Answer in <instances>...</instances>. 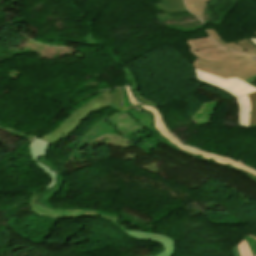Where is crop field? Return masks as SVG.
I'll return each mask as SVG.
<instances>
[{"instance_id":"8a807250","label":"crop field","mask_w":256,"mask_h":256,"mask_svg":"<svg viewBox=\"0 0 256 256\" xmlns=\"http://www.w3.org/2000/svg\"><path fill=\"white\" fill-rule=\"evenodd\" d=\"M194 67L222 76L246 80L256 75V59L245 56L231 61H212L197 58Z\"/></svg>"},{"instance_id":"ac0d7876","label":"crop field","mask_w":256,"mask_h":256,"mask_svg":"<svg viewBox=\"0 0 256 256\" xmlns=\"http://www.w3.org/2000/svg\"><path fill=\"white\" fill-rule=\"evenodd\" d=\"M126 91L128 93L129 96V100L130 102H132L135 106L138 105V103L135 101V99L133 98L129 87H126ZM140 105V104H139ZM142 108H144V110L150 111L154 114L155 117V128L158 130L159 133H161V135H163V137L167 138L168 140H170L172 143H174L179 149L188 151L190 153L193 154H197V155H201L203 156L204 159H213L216 162L219 163H223V164H231L232 166H236L238 168H241L243 170L248 171L251 174H254L256 176V169L249 167L245 164H242L240 162L234 161L232 159L226 158V157H221L220 155H216V154H212L209 152H205V151H200L194 148H191L185 144H183L181 141H179L178 139H176L170 132L169 130L166 128L163 118L161 116V114L158 112V110L153 109L151 107H147V106H143L140 105Z\"/></svg>"},{"instance_id":"34b2d1b8","label":"crop field","mask_w":256,"mask_h":256,"mask_svg":"<svg viewBox=\"0 0 256 256\" xmlns=\"http://www.w3.org/2000/svg\"><path fill=\"white\" fill-rule=\"evenodd\" d=\"M196 78L202 82L208 83L213 86H217L235 97L249 94L256 91V88L250 86L237 78H222L202 70L195 68Z\"/></svg>"},{"instance_id":"412701ff","label":"crop field","mask_w":256,"mask_h":256,"mask_svg":"<svg viewBox=\"0 0 256 256\" xmlns=\"http://www.w3.org/2000/svg\"><path fill=\"white\" fill-rule=\"evenodd\" d=\"M50 145L51 144L44 142L38 138H35L33 141H31L28 144V154L34 160V162L37 164V166H39L40 169L42 171H44L50 177L51 182L45 189L50 188L55 185L56 174H55V172L50 171V168L40 164L38 162V159L45 156V154L47 153V149Z\"/></svg>"},{"instance_id":"f4fd0767","label":"crop field","mask_w":256,"mask_h":256,"mask_svg":"<svg viewBox=\"0 0 256 256\" xmlns=\"http://www.w3.org/2000/svg\"><path fill=\"white\" fill-rule=\"evenodd\" d=\"M187 44L191 46L190 51L195 56L202 58V59L231 60V59H235V58H238L241 56H245V55L239 54V53H221V54H216V55H200L194 51L199 48L218 46V44L213 42L210 37L190 40V41H187Z\"/></svg>"},{"instance_id":"dd49c442","label":"crop field","mask_w":256,"mask_h":256,"mask_svg":"<svg viewBox=\"0 0 256 256\" xmlns=\"http://www.w3.org/2000/svg\"><path fill=\"white\" fill-rule=\"evenodd\" d=\"M110 92V91H109ZM112 98L108 94V92H105L103 94H99L88 101H86L84 104H82L80 107H78L76 110L71 112L69 115L74 117L75 119L79 120L92 112L95 109H101L102 107L106 106L111 102Z\"/></svg>"},{"instance_id":"e52e79f7","label":"crop field","mask_w":256,"mask_h":256,"mask_svg":"<svg viewBox=\"0 0 256 256\" xmlns=\"http://www.w3.org/2000/svg\"><path fill=\"white\" fill-rule=\"evenodd\" d=\"M91 25H92V23L89 22V26H88L89 34L87 35L86 38H83V40L88 42L87 45H97V42H96V40L94 39V37L92 35ZM97 46H100V45H97ZM100 47H102V46H100ZM106 51H108V50H106ZM108 52H110V51H108ZM110 53L112 54L113 59L115 61H117L118 63H120V61L118 60L117 56L115 54H113L112 52H110ZM120 65L126 71L128 85L131 86L132 92H133L134 96L136 97L137 101L138 102H142V103L147 104V105H151V106H155L156 107V104H154L151 101H149V100H147V99H145V98L140 96L133 74L128 70V68L125 65H122L121 63H120Z\"/></svg>"},{"instance_id":"d8731c3e","label":"crop field","mask_w":256,"mask_h":256,"mask_svg":"<svg viewBox=\"0 0 256 256\" xmlns=\"http://www.w3.org/2000/svg\"><path fill=\"white\" fill-rule=\"evenodd\" d=\"M78 123L79 122L75 119L68 117L63 123L60 124V126L55 131L44 137H41L40 139H43L54 145L60 139H64L71 132H73V130L77 128Z\"/></svg>"},{"instance_id":"5a996713","label":"crop field","mask_w":256,"mask_h":256,"mask_svg":"<svg viewBox=\"0 0 256 256\" xmlns=\"http://www.w3.org/2000/svg\"><path fill=\"white\" fill-rule=\"evenodd\" d=\"M37 199V195H31L30 207L31 210L42 216H52L60 218H76L81 217L82 210H62V211H52L46 207L34 204L33 200Z\"/></svg>"},{"instance_id":"3316defc","label":"crop field","mask_w":256,"mask_h":256,"mask_svg":"<svg viewBox=\"0 0 256 256\" xmlns=\"http://www.w3.org/2000/svg\"><path fill=\"white\" fill-rule=\"evenodd\" d=\"M125 232L134 238L149 239V240H154L156 242L161 243L164 247V251L158 256H171L175 249V246L172 240L166 236L134 232V231H125Z\"/></svg>"},{"instance_id":"28ad6ade","label":"crop field","mask_w":256,"mask_h":256,"mask_svg":"<svg viewBox=\"0 0 256 256\" xmlns=\"http://www.w3.org/2000/svg\"><path fill=\"white\" fill-rule=\"evenodd\" d=\"M237 104L239 106V118H238V124L239 126L243 127H249V121H250V110H251V104L250 99L248 95L238 98Z\"/></svg>"},{"instance_id":"d1516ede","label":"crop field","mask_w":256,"mask_h":256,"mask_svg":"<svg viewBox=\"0 0 256 256\" xmlns=\"http://www.w3.org/2000/svg\"><path fill=\"white\" fill-rule=\"evenodd\" d=\"M160 4H155L159 9L169 13L186 12L183 0H162Z\"/></svg>"},{"instance_id":"22f410ed","label":"crop field","mask_w":256,"mask_h":256,"mask_svg":"<svg viewBox=\"0 0 256 256\" xmlns=\"http://www.w3.org/2000/svg\"><path fill=\"white\" fill-rule=\"evenodd\" d=\"M62 184H63V179H62V175L59 171V174L57 176V185L55 187H53L52 189H48V190L44 191L38 202L53 208V206L49 203V201H50L51 197L53 195H55L60 190Z\"/></svg>"},{"instance_id":"cbeb9de0","label":"crop field","mask_w":256,"mask_h":256,"mask_svg":"<svg viewBox=\"0 0 256 256\" xmlns=\"http://www.w3.org/2000/svg\"><path fill=\"white\" fill-rule=\"evenodd\" d=\"M208 0H185L187 8L196 16L201 18L203 9Z\"/></svg>"},{"instance_id":"5142ce71","label":"crop field","mask_w":256,"mask_h":256,"mask_svg":"<svg viewBox=\"0 0 256 256\" xmlns=\"http://www.w3.org/2000/svg\"><path fill=\"white\" fill-rule=\"evenodd\" d=\"M85 216H96V217H103V218H107L110 221H112L113 223H115L117 225L118 222V217L106 213V212H102V211H98V210H87V209H83V214L82 217ZM118 226V225H117ZM119 227V226H118ZM122 230H128L127 227H120Z\"/></svg>"},{"instance_id":"d9b57169","label":"crop field","mask_w":256,"mask_h":256,"mask_svg":"<svg viewBox=\"0 0 256 256\" xmlns=\"http://www.w3.org/2000/svg\"><path fill=\"white\" fill-rule=\"evenodd\" d=\"M209 35L220 45L226 48L238 50L247 53L245 50H243L241 47H239L236 43L231 44H225L224 41L221 39V37L215 32V30L206 29Z\"/></svg>"},{"instance_id":"733c2abd","label":"crop field","mask_w":256,"mask_h":256,"mask_svg":"<svg viewBox=\"0 0 256 256\" xmlns=\"http://www.w3.org/2000/svg\"><path fill=\"white\" fill-rule=\"evenodd\" d=\"M134 118H136L141 125L145 127H151L152 126V121H151V116L149 114L143 113V112H137V111H132L129 112Z\"/></svg>"},{"instance_id":"4a817a6b","label":"crop field","mask_w":256,"mask_h":256,"mask_svg":"<svg viewBox=\"0 0 256 256\" xmlns=\"http://www.w3.org/2000/svg\"><path fill=\"white\" fill-rule=\"evenodd\" d=\"M252 103L250 126H256V92L249 94Z\"/></svg>"},{"instance_id":"bc2a9ffb","label":"crop field","mask_w":256,"mask_h":256,"mask_svg":"<svg viewBox=\"0 0 256 256\" xmlns=\"http://www.w3.org/2000/svg\"><path fill=\"white\" fill-rule=\"evenodd\" d=\"M196 51L200 54H216V53H220V52H235V51H231V50H226V49L222 48L221 46L213 47V48L200 49V50H196Z\"/></svg>"},{"instance_id":"214f88e0","label":"crop field","mask_w":256,"mask_h":256,"mask_svg":"<svg viewBox=\"0 0 256 256\" xmlns=\"http://www.w3.org/2000/svg\"><path fill=\"white\" fill-rule=\"evenodd\" d=\"M237 44L244 48L249 55L256 56V49L247 40L237 42Z\"/></svg>"},{"instance_id":"92a150f3","label":"crop field","mask_w":256,"mask_h":256,"mask_svg":"<svg viewBox=\"0 0 256 256\" xmlns=\"http://www.w3.org/2000/svg\"><path fill=\"white\" fill-rule=\"evenodd\" d=\"M240 256H252L247 243L243 240L238 245Z\"/></svg>"},{"instance_id":"dafd665d","label":"crop field","mask_w":256,"mask_h":256,"mask_svg":"<svg viewBox=\"0 0 256 256\" xmlns=\"http://www.w3.org/2000/svg\"><path fill=\"white\" fill-rule=\"evenodd\" d=\"M225 167H227V166H225ZM229 169H232V170H236V171H239V170H237V169H234V168H230V167H228ZM239 172H241V173H244V174H246V175H249V174H247V173H245V172H243V171H239ZM250 177L252 178V180H254L253 179V177L250 175ZM255 182H256V180H254Z\"/></svg>"},{"instance_id":"00972430","label":"crop field","mask_w":256,"mask_h":256,"mask_svg":"<svg viewBox=\"0 0 256 256\" xmlns=\"http://www.w3.org/2000/svg\"><path fill=\"white\" fill-rule=\"evenodd\" d=\"M234 255H235V256H239V252H238L237 246H236V248H235V250H234Z\"/></svg>"},{"instance_id":"a9b5d70f","label":"crop field","mask_w":256,"mask_h":256,"mask_svg":"<svg viewBox=\"0 0 256 256\" xmlns=\"http://www.w3.org/2000/svg\"><path fill=\"white\" fill-rule=\"evenodd\" d=\"M251 42H253L256 45V38L249 39Z\"/></svg>"},{"instance_id":"4177f3b9","label":"crop field","mask_w":256,"mask_h":256,"mask_svg":"<svg viewBox=\"0 0 256 256\" xmlns=\"http://www.w3.org/2000/svg\"><path fill=\"white\" fill-rule=\"evenodd\" d=\"M253 34H255V35H256V32H255V33H253Z\"/></svg>"}]
</instances>
